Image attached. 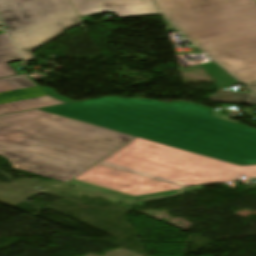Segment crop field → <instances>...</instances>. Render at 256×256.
<instances>
[{"label": "crop field", "instance_id": "obj_1", "mask_svg": "<svg viewBox=\"0 0 256 256\" xmlns=\"http://www.w3.org/2000/svg\"><path fill=\"white\" fill-rule=\"evenodd\" d=\"M40 109L231 164H256V129L189 102L103 97Z\"/></svg>", "mask_w": 256, "mask_h": 256}, {"label": "crop field", "instance_id": "obj_2", "mask_svg": "<svg viewBox=\"0 0 256 256\" xmlns=\"http://www.w3.org/2000/svg\"><path fill=\"white\" fill-rule=\"evenodd\" d=\"M240 176L256 177V165L239 167L136 137L68 183L137 201Z\"/></svg>", "mask_w": 256, "mask_h": 256}, {"label": "crop field", "instance_id": "obj_3", "mask_svg": "<svg viewBox=\"0 0 256 256\" xmlns=\"http://www.w3.org/2000/svg\"><path fill=\"white\" fill-rule=\"evenodd\" d=\"M134 138L38 109L0 116V155L65 182Z\"/></svg>", "mask_w": 256, "mask_h": 256}, {"label": "crop field", "instance_id": "obj_4", "mask_svg": "<svg viewBox=\"0 0 256 256\" xmlns=\"http://www.w3.org/2000/svg\"><path fill=\"white\" fill-rule=\"evenodd\" d=\"M167 18L244 83L256 80L254 0H155Z\"/></svg>", "mask_w": 256, "mask_h": 256}, {"label": "crop field", "instance_id": "obj_5", "mask_svg": "<svg viewBox=\"0 0 256 256\" xmlns=\"http://www.w3.org/2000/svg\"><path fill=\"white\" fill-rule=\"evenodd\" d=\"M6 32L25 62L31 51L81 24L68 0H0Z\"/></svg>", "mask_w": 256, "mask_h": 256}, {"label": "crop field", "instance_id": "obj_6", "mask_svg": "<svg viewBox=\"0 0 256 256\" xmlns=\"http://www.w3.org/2000/svg\"><path fill=\"white\" fill-rule=\"evenodd\" d=\"M61 104L25 74L0 78V115Z\"/></svg>", "mask_w": 256, "mask_h": 256}, {"label": "crop field", "instance_id": "obj_7", "mask_svg": "<svg viewBox=\"0 0 256 256\" xmlns=\"http://www.w3.org/2000/svg\"><path fill=\"white\" fill-rule=\"evenodd\" d=\"M80 16L114 12L117 18L159 14L152 0H70Z\"/></svg>", "mask_w": 256, "mask_h": 256}, {"label": "crop field", "instance_id": "obj_8", "mask_svg": "<svg viewBox=\"0 0 256 256\" xmlns=\"http://www.w3.org/2000/svg\"><path fill=\"white\" fill-rule=\"evenodd\" d=\"M18 60L20 58L5 34L0 35V77L16 75L17 73L6 62Z\"/></svg>", "mask_w": 256, "mask_h": 256}, {"label": "crop field", "instance_id": "obj_9", "mask_svg": "<svg viewBox=\"0 0 256 256\" xmlns=\"http://www.w3.org/2000/svg\"><path fill=\"white\" fill-rule=\"evenodd\" d=\"M199 66L217 82L215 85L219 89L240 84L213 61L199 64Z\"/></svg>", "mask_w": 256, "mask_h": 256}, {"label": "crop field", "instance_id": "obj_10", "mask_svg": "<svg viewBox=\"0 0 256 256\" xmlns=\"http://www.w3.org/2000/svg\"><path fill=\"white\" fill-rule=\"evenodd\" d=\"M211 101L226 103H244L256 105V96L252 93L232 92L230 90H219L217 94L210 96Z\"/></svg>", "mask_w": 256, "mask_h": 256}, {"label": "crop field", "instance_id": "obj_11", "mask_svg": "<svg viewBox=\"0 0 256 256\" xmlns=\"http://www.w3.org/2000/svg\"><path fill=\"white\" fill-rule=\"evenodd\" d=\"M45 92H47L48 94H49V96H51V97H54V98H56V99H59V100H62V101H64V102H67V103H70V102H74V101H72V100H70V99H68V98H65V97H63V96H60V95H58V94H56L52 89H50V88H46V87H44V86H40Z\"/></svg>", "mask_w": 256, "mask_h": 256}, {"label": "crop field", "instance_id": "obj_12", "mask_svg": "<svg viewBox=\"0 0 256 256\" xmlns=\"http://www.w3.org/2000/svg\"><path fill=\"white\" fill-rule=\"evenodd\" d=\"M10 160V159H9ZM10 162L13 164V166L15 167V168H17V169H19V170H24V168H25V165H21V164H17V163H15V162H13L12 160H10Z\"/></svg>", "mask_w": 256, "mask_h": 256}, {"label": "crop field", "instance_id": "obj_13", "mask_svg": "<svg viewBox=\"0 0 256 256\" xmlns=\"http://www.w3.org/2000/svg\"><path fill=\"white\" fill-rule=\"evenodd\" d=\"M246 85L256 93V81L247 83Z\"/></svg>", "mask_w": 256, "mask_h": 256}, {"label": "crop field", "instance_id": "obj_14", "mask_svg": "<svg viewBox=\"0 0 256 256\" xmlns=\"http://www.w3.org/2000/svg\"><path fill=\"white\" fill-rule=\"evenodd\" d=\"M1 24V23H0Z\"/></svg>", "mask_w": 256, "mask_h": 256}]
</instances>
